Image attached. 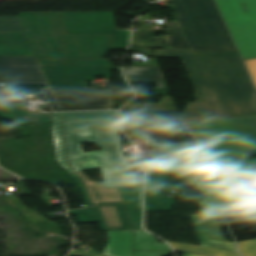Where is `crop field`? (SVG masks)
Segmentation results:
<instances>
[{"label": "crop field", "mask_w": 256, "mask_h": 256, "mask_svg": "<svg viewBox=\"0 0 256 256\" xmlns=\"http://www.w3.org/2000/svg\"><path fill=\"white\" fill-rule=\"evenodd\" d=\"M156 56L183 57L198 101L187 104L185 121L256 114V96L237 52L154 50Z\"/></svg>", "instance_id": "8a807250"}, {"label": "crop field", "mask_w": 256, "mask_h": 256, "mask_svg": "<svg viewBox=\"0 0 256 256\" xmlns=\"http://www.w3.org/2000/svg\"><path fill=\"white\" fill-rule=\"evenodd\" d=\"M58 160L69 172L61 113L52 114ZM117 112L63 113L70 166L76 171L101 168L106 188L135 186V178L121 153ZM96 141L102 151L82 153L80 143ZM84 161V164L81 161Z\"/></svg>", "instance_id": "ac0d7876"}, {"label": "crop field", "mask_w": 256, "mask_h": 256, "mask_svg": "<svg viewBox=\"0 0 256 256\" xmlns=\"http://www.w3.org/2000/svg\"><path fill=\"white\" fill-rule=\"evenodd\" d=\"M186 123L207 149L222 186L256 185V159L245 158L256 151V115Z\"/></svg>", "instance_id": "34b2d1b8"}, {"label": "crop field", "mask_w": 256, "mask_h": 256, "mask_svg": "<svg viewBox=\"0 0 256 256\" xmlns=\"http://www.w3.org/2000/svg\"><path fill=\"white\" fill-rule=\"evenodd\" d=\"M22 30L37 58H101L113 36H67L61 12L19 13ZM68 38V42H64Z\"/></svg>", "instance_id": "412701ff"}, {"label": "crop field", "mask_w": 256, "mask_h": 256, "mask_svg": "<svg viewBox=\"0 0 256 256\" xmlns=\"http://www.w3.org/2000/svg\"><path fill=\"white\" fill-rule=\"evenodd\" d=\"M192 49L236 51L213 0H173Z\"/></svg>", "instance_id": "f4fd0767"}, {"label": "crop field", "mask_w": 256, "mask_h": 256, "mask_svg": "<svg viewBox=\"0 0 256 256\" xmlns=\"http://www.w3.org/2000/svg\"><path fill=\"white\" fill-rule=\"evenodd\" d=\"M206 197L201 203L205 213L192 215L201 247L169 241L177 250L212 256H236L232 242H224L216 217L238 205L222 187H197Z\"/></svg>", "instance_id": "dd49c442"}, {"label": "crop field", "mask_w": 256, "mask_h": 256, "mask_svg": "<svg viewBox=\"0 0 256 256\" xmlns=\"http://www.w3.org/2000/svg\"><path fill=\"white\" fill-rule=\"evenodd\" d=\"M158 157L167 172L190 173L192 186H221L219 176L201 143L161 145Z\"/></svg>", "instance_id": "e52e79f7"}, {"label": "crop field", "mask_w": 256, "mask_h": 256, "mask_svg": "<svg viewBox=\"0 0 256 256\" xmlns=\"http://www.w3.org/2000/svg\"><path fill=\"white\" fill-rule=\"evenodd\" d=\"M229 31L244 59L256 57V0H216ZM244 2L249 14L241 5Z\"/></svg>", "instance_id": "d8731c3e"}, {"label": "crop field", "mask_w": 256, "mask_h": 256, "mask_svg": "<svg viewBox=\"0 0 256 256\" xmlns=\"http://www.w3.org/2000/svg\"><path fill=\"white\" fill-rule=\"evenodd\" d=\"M63 111L113 109L112 91L52 88ZM51 111H61L50 88L41 89Z\"/></svg>", "instance_id": "5a996713"}, {"label": "crop field", "mask_w": 256, "mask_h": 256, "mask_svg": "<svg viewBox=\"0 0 256 256\" xmlns=\"http://www.w3.org/2000/svg\"><path fill=\"white\" fill-rule=\"evenodd\" d=\"M125 122L153 123L157 144L195 141L177 111H121V126Z\"/></svg>", "instance_id": "3316defc"}, {"label": "crop field", "mask_w": 256, "mask_h": 256, "mask_svg": "<svg viewBox=\"0 0 256 256\" xmlns=\"http://www.w3.org/2000/svg\"><path fill=\"white\" fill-rule=\"evenodd\" d=\"M62 14L68 35H114L111 46L128 45L130 29L116 30L113 12Z\"/></svg>", "instance_id": "28ad6ade"}, {"label": "crop field", "mask_w": 256, "mask_h": 256, "mask_svg": "<svg viewBox=\"0 0 256 256\" xmlns=\"http://www.w3.org/2000/svg\"><path fill=\"white\" fill-rule=\"evenodd\" d=\"M83 192L86 205L84 210L69 211L77 214L82 223L99 222L103 230H132V226L122 203L92 204L89 195L75 173H70Z\"/></svg>", "instance_id": "d1516ede"}, {"label": "crop field", "mask_w": 256, "mask_h": 256, "mask_svg": "<svg viewBox=\"0 0 256 256\" xmlns=\"http://www.w3.org/2000/svg\"><path fill=\"white\" fill-rule=\"evenodd\" d=\"M0 83H47L35 57H0ZM12 91L0 88V109Z\"/></svg>", "instance_id": "22f410ed"}, {"label": "crop field", "mask_w": 256, "mask_h": 256, "mask_svg": "<svg viewBox=\"0 0 256 256\" xmlns=\"http://www.w3.org/2000/svg\"><path fill=\"white\" fill-rule=\"evenodd\" d=\"M52 87H88L87 82L95 76H110V69L120 67L99 66V67H63V66H42Z\"/></svg>", "instance_id": "cbeb9de0"}, {"label": "crop field", "mask_w": 256, "mask_h": 256, "mask_svg": "<svg viewBox=\"0 0 256 256\" xmlns=\"http://www.w3.org/2000/svg\"><path fill=\"white\" fill-rule=\"evenodd\" d=\"M156 32L167 35L155 37ZM131 47L191 49L177 21L168 30L133 31Z\"/></svg>", "instance_id": "5142ce71"}, {"label": "crop field", "mask_w": 256, "mask_h": 256, "mask_svg": "<svg viewBox=\"0 0 256 256\" xmlns=\"http://www.w3.org/2000/svg\"><path fill=\"white\" fill-rule=\"evenodd\" d=\"M0 56H33L22 33H0Z\"/></svg>", "instance_id": "d9b57169"}, {"label": "crop field", "mask_w": 256, "mask_h": 256, "mask_svg": "<svg viewBox=\"0 0 256 256\" xmlns=\"http://www.w3.org/2000/svg\"><path fill=\"white\" fill-rule=\"evenodd\" d=\"M110 241L105 249L109 256H131L132 231H108Z\"/></svg>", "instance_id": "733c2abd"}, {"label": "crop field", "mask_w": 256, "mask_h": 256, "mask_svg": "<svg viewBox=\"0 0 256 256\" xmlns=\"http://www.w3.org/2000/svg\"><path fill=\"white\" fill-rule=\"evenodd\" d=\"M143 187L120 188L135 230H142L141 193Z\"/></svg>", "instance_id": "4a817a6b"}, {"label": "crop field", "mask_w": 256, "mask_h": 256, "mask_svg": "<svg viewBox=\"0 0 256 256\" xmlns=\"http://www.w3.org/2000/svg\"><path fill=\"white\" fill-rule=\"evenodd\" d=\"M86 183L88 192L94 203L122 201L117 188L105 189L104 184L91 181L83 173H77Z\"/></svg>", "instance_id": "bc2a9ffb"}, {"label": "crop field", "mask_w": 256, "mask_h": 256, "mask_svg": "<svg viewBox=\"0 0 256 256\" xmlns=\"http://www.w3.org/2000/svg\"><path fill=\"white\" fill-rule=\"evenodd\" d=\"M124 73L130 82H157L158 87H166L158 67H131Z\"/></svg>", "instance_id": "214f88e0"}, {"label": "crop field", "mask_w": 256, "mask_h": 256, "mask_svg": "<svg viewBox=\"0 0 256 256\" xmlns=\"http://www.w3.org/2000/svg\"><path fill=\"white\" fill-rule=\"evenodd\" d=\"M145 211H167L174 206V197H163L159 190H145L144 194Z\"/></svg>", "instance_id": "92a150f3"}, {"label": "crop field", "mask_w": 256, "mask_h": 256, "mask_svg": "<svg viewBox=\"0 0 256 256\" xmlns=\"http://www.w3.org/2000/svg\"><path fill=\"white\" fill-rule=\"evenodd\" d=\"M16 116L20 122L29 124L35 123V118L37 115L28 112L23 102L8 104L0 110L1 118H11Z\"/></svg>", "instance_id": "dafd665d"}, {"label": "crop field", "mask_w": 256, "mask_h": 256, "mask_svg": "<svg viewBox=\"0 0 256 256\" xmlns=\"http://www.w3.org/2000/svg\"><path fill=\"white\" fill-rule=\"evenodd\" d=\"M134 250H170L167 243H156L152 235L145 231H135Z\"/></svg>", "instance_id": "00972430"}, {"label": "crop field", "mask_w": 256, "mask_h": 256, "mask_svg": "<svg viewBox=\"0 0 256 256\" xmlns=\"http://www.w3.org/2000/svg\"><path fill=\"white\" fill-rule=\"evenodd\" d=\"M141 167L148 173V183L146 187H154L157 180L169 179L158 157L152 158L150 165Z\"/></svg>", "instance_id": "a9b5d70f"}, {"label": "crop field", "mask_w": 256, "mask_h": 256, "mask_svg": "<svg viewBox=\"0 0 256 256\" xmlns=\"http://www.w3.org/2000/svg\"><path fill=\"white\" fill-rule=\"evenodd\" d=\"M51 61H77V63H52ZM40 65H63V66H99L113 65L109 59L100 60H38Z\"/></svg>", "instance_id": "4177f3b9"}, {"label": "crop field", "mask_w": 256, "mask_h": 256, "mask_svg": "<svg viewBox=\"0 0 256 256\" xmlns=\"http://www.w3.org/2000/svg\"><path fill=\"white\" fill-rule=\"evenodd\" d=\"M0 31H22L18 16L0 17Z\"/></svg>", "instance_id": "730fd06b"}, {"label": "crop field", "mask_w": 256, "mask_h": 256, "mask_svg": "<svg viewBox=\"0 0 256 256\" xmlns=\"http://www.w3.org/2000/svg\"><path fill=\"white\" fill-rule=\"evenodd\" d=\"M243 256H256V240L238 243Z\"/></svg>", "instance_id": "eef30255"}, {"label": "crop field", "mask_w": 256, "mask_h": 256, "mask_svg": "<svg viewBox=\"0 0 256 256\" xmlns=\"http://www.w3.org/2000/svg\"><path fill=\"white\" fill-rule=\"evenodd\" d=\"M247 69L251 75V78L256 86V59L244 61Z\"/></svg>", "instance_id": "ae1a2a85"}, {"label": "crop field", "mask_w": 256, "mask_h": 256, "mask_svg": "<svg viewBox=\"0 0 256 256\" xmlns=\"http://www.w3.org/2000/svg\"><path fill=\"white\" fill-rule=\"evenodd\" d=\"M171 252H143V251H134V256H165L171 254Z\"/></svg>", "instance_id": "d3111659"}, {"label": "crop field", "mask_w": 256, "mask_h": 256, "mask_svg": "<svg viewBox=\"0 0 256 256\" xmlns=\"http://www.w3.org/2000/svg\"><path fill=\"white\" fill-rule=\"evenodd\" d=\"M50 122H53L51 114L50 115L38 114L36 118V123H50Z\"/></svg>", "instance_id": "750c4746"}, {"label": "crop field", "mask_w": 256, "mask_h": 256, "mask_svg": "<svg viewBox=\"0 0 256 256\" xmlns=\"http://www.w3.org/2000/svg\"><path fill=\"white\" fill-rule=\"evenodd\" d=\"M183 253H185L184 256H205V255H199V254H193V253H187V252H183Z\"/></svg>", "instance_id": "bd1437ed"}, {"label": "crop field", "mask_w": 256, "mask_h": 256, "mask_svg": "<svg viewBox=\"0 0 256 256\" xmlns=\"http://www.w3.org/2000/svg\"><path fill=\"white\" fill-rule=\"evenodd\" d=\"M182 174H184L185 176H187V183H188L189 186H191V185H190L191 178H190L189 174H185V173H182Z\"/></svg>", "instance_id": "1d83c4d3"}, {"label": "crop field", "mask_w": 256, "mask_h": 256, "mask_svg": "<svg viewBox=\"0 0 256 256\" xmlns=\"http://www.w3.org/2000/svg\"><path fill=\"white\" fill-rule=\"evenodd\" d=\"M127 68H129V67H124V69H127Z\"/></svg>", "instance_id": "120bbe31"}]
</instances>
